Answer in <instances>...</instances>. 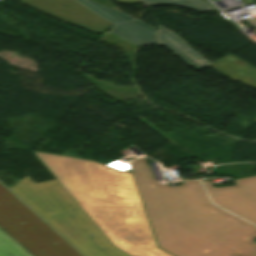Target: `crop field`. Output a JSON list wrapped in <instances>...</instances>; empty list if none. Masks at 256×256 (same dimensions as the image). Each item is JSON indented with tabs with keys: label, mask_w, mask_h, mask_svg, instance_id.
Masks as SVG:
<instances>
[{
	"label": "crop field",
	"mask_w": 256,
	"mask_h": 256,
	"mask_svg": "<svg viewBox=\"0 0 256 256\" xmlns=\"http://www.w3.org/2000/svg\"><path fill=\"white\" fill-rule=\"evenodd\" d=\"M115 1L120 2L122 4H127V3L139 2L140 0H115Z\"/></svg>",
	"instance_id": "22f410ed"
},
{
	"label": "crop field",
	"mask_w": 256,
	"mask_h": 256,
	"mask_svg": "<svg viewBox=\"0 0 256 256\" xmlns=\"http://www.w3.org/2000/svg\"><path fill=\"white\" fill-rule=\"evenodd\" d=\"M148 5L171 3L185 8L193 9L196 11L204 12L212 10L207 3L203 0H143Z\"/></svg>",
	"instance_id": "3316defc"
},
{
	"label": "crop field",
	"mask_w": 256,
	"mask_h": 256,
	"mask_svg": "<svg viewBox=\"0 0 256 256\" xmlns=\"http://www.w3.org/2000/svg\"><path fill=\"white\" fill-rule=\"evenodd\" d=\"M0 227L34 256H81L1 184Z\"/></svg>",
	"instance_id": "412701ff"
},
{
	"label": "crop field",
	"mask_w": 256,
	"mask_h": 256,
	"mask_svg": "<svg viewBox=\"0 0 256 256\" xmlns=\"http://www.w3.org/2000/svg\"><path fill=\"white\" fill-rule=\"evenodd\" d=\"M236 186L213 188L210 181L203 182L217 206L256 225V196L249 193L243 180H234Z\"/></svg>",
	"instance_id": "dd49c442"
},
{
	"label": "crop field",
	"mask_w": 256,
	"mask_h": 256,
	"mask_svg": "<svg viewBox=\"0 0 256 256\" xmlns=\"http://www.w3.org/2000/svg\"><path fill=\"white\" fill-rule=\"evenodd\" d=\"M113 245L129 256H172L154 241L131 173L32 151Z\"/></svg>",
	"instance_id": "ac0d7876"
},
{
	"label": "crop field",
	"mask_w": 256,
	"mask_h": 256,
	"mask_svg": "<svg viewBox=\"0 0 256 256\" xmlns=\"http://www.w3.org/2000/svg\"><path fill=\"white\" fill-rule=\"evenodd\" d=\"M249 192L256 195V177L243 179Z\"/></svg>",
	"instance_id": "d1516ede"
},
{
	"label": "crop field",
	"mask_w": 256,
	"mask_h": 256,
	"mask_svg": "<svg viewBox=\"0 0 256 256\" xmlns=\"http://www.w3.org/2000/svg\"><path fill=\"white\" fill-rule=\"evenodd\" d=\"M157 38L160 42H162L163 45L173 51L183 61L197 69L205 66L208 63V61L189 48L190 46L188 47L173 33L163 27H160Z\"/></svg>",
	"instance_id": "5a996713"
},
{
	"label": "crop field",
	"mask_w": 256,
	"mask_h": 256,
	"mask_svg": "<svg viewBox=\"0 0 256 256\" xmlns=\"http://www.w3.org/2000/svg\"><path fill=\"white\" fill-rule=\"evenodd\" d=\"M114 24L110 33L137 46L159 43L154 39L155 29L119 12L92 3L76 0Z\"/></svg>",
	"instance_id": "e52e79f7"
},
{
	"label": "crop field",
	"mask_w": 256,
	"mask_h": 256,
	"mask_svg": "<svg viewBox=\"0 0 256 256\" xmlns=\"http://www.w3.org/2000/svg\"><path fill=\"white\" fill-rule=\"evenodd\" d=\"M10 190L84 256H128L110 243L56 180L35 184L26 175Z\"/></svg>",
	"instance_id": "34b2d1b8"
},
{
	"label": "crop field",
	"mask_w": 256,
	"mask_h": 256,
	"mask_svg": "<svg viewBox=\"0 0 256 256\" xmlns=\"http://www.w3.org/2000/svg\"><path fill=\"white\" fill-rule=\"evenodd\" d=\"M248 22L256 27V19L248 20Z\"/></svg>",
	"instance_id": "cbeb9de0"
},
{
	"label": "crop field",
	"mask_w": 256,
	"mask_h": 256,
	"mask_svg": "<svg viewBox=\"0 0 256 256\" xmlns=\"http://www.w3.org/2000/svg\"><path fill=\"white\" fill-rule=\"evenodd\" d=\"M228 78L256 88V68L229 54L208 65Z\"/></svg>",
	"instance_id": "d8731c3e"
},
{
	"label": "crop field",
	"mask_w": 256,
	"mask_h": 256,
	"mask_svg": "<svg viewBox=\"0 0 256 256\" xmlns=\"http://www.w3.org/2000/svg\"><path fill=\"white\" fill-rule=\"evenodd\" d=\"M21 2L95 33H103L111 25L74 0H21Z\"/></svg>",
	"instance_id": "f4fd0767"
},
{
	"label": "crop field",
	"mask_w": 256,
	"mask_h": 256,
	"mask_svg": "<svg viewBox=\"0 0 256 256\" xmlns=\"http://www.w3.org/2000/svg\"><path fill=\"white\" fill-rule=\"evenodd\" d=\"M6 235L0 231V256H31Z\"/></svg>",
	"instance_id": "28ad6ade"
},
{
	"label": "crop field",
	"mask_w": 256,
	"mask_h": 256,
	"mask_svg": "<svg viewBox=\"0 0 256 256\" xmlns=\"http://www.w3.org/2000/svg\"><path fill=\"white\" fill-rule=\"evenodd\" d=\"M159 247L175 256H256V227L211 205L198 181L155 183L144 158L130 163Z\"/></svg>",
	"instance_id": "8a807250"
},
{
	"label": "crop field",
	"mask_w": 256,
	"mask_h": 256,
	"mask_svg": "<svg viewBox=\"0 0 256 256\" xmlns=\"http://www.w3.org/2000/svg\"><path fill=\"white\" fill-rule=\"evenodd\" d=\"M256 1V0H255Z\"/></svg>",
	"instance_id": "5142ce71"
}]
</instances>
